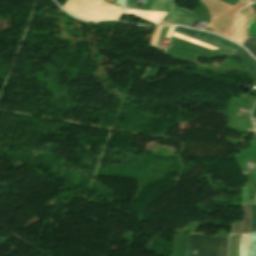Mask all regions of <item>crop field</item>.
Listing matches in <instances>:
<instances>
[{"mask_svg":"<svg viewBox=\"0 0 256 256\" xmlns=\"http://www.w3.org/2000/svg\"><path fill=\"white\" fill-rule=\"evenodd\" d=\"M237 53L245 64L246 68L256 76V61L240 47L237 49Z\"/></svg>","mask_w":256,"mask_h":256,"instance_id":"412701ff","label":"crop field"},{"mask_svg":"<svg viewBox=\"0 0 256 256\" xmlns=\"http://www.w3.org/2000/svg\"><path fill=\"white\" fill-rule=\"evenodd\" d=\"M240 224H241V222H239V223H235V224H234L233 232H232V233H239V230H240Z\"/></svg>","mask_w":256,"mask_h":256,"instance_id":"d1516ede","label":"crop field"},{"mask_svg":"<svg viewBox=\"0 0 256 256\" xmlns=\"http://www.w3.org/2000/svg\"><path fill=\"white\" fill-rule=\"evenodd\" d=\"M221 1L234 5V4H236L239 0H221Z\"/></svg>","mask_w":256,"mask_h":256,"instance_id":"22f410ed","label":"crop field"},{"mask_svg":"<svg viewBox=\"0 0 256 256\" xmlns=\"http://www.w3.org/2000/svg\"><path fill=\"white\" fill-rule=\"evenodd\" d=\"M254 121V124H255V128H256V120H253Z\"/></svg>","mask_w":256,"mask_h":256,"instance_id":"cbeb9de0","label":"crop field"},{"mask_svg":"<svg viewBox=\"0 0 256 256\" xmlns=\"http://www.w3.org/2000/svg\"><path fill=\"white\" fill-rule=\"evenodd\" d=\"M199 37H202V38H205V39L217 42L219 44H222V45L234 48V49H236L238 47V45H235V44H233V43H231V42H229V41H227L225 39H222V38H220L218 36H215L213 34L201 32Z\"/></svg>","mask_w":256,"mask_h":256,"instance_id":"dd49c442","label":"crop field"},{"mask_svg":"<svg viewBox=\"0 0 256 256\" xmlns=\"http://www.w3.org/2000/svg\"><path fill=\"white\" fill-rule=\"evenodd\" d=\"M243 45L256 57V38H248Z\"/></svg>","mask_w":256,"mask_h":256,"instance_id":"e52e79f7","label":"crop field"},{"mask_svg":"<svg viewBox=\"0 0 256 256\" xmlns=\"http://www.w3.org/2000/svg\"><path fill=\"white\" fill-rule=\"evenodd\" d=\"M175 32H178L180 34H183V35H186L188 37H191V38H194V39H197L199 41H202V42H205L207 44H210V45H213L215 47H218V48H221V49H224V50H227V51H230V52H234V49H231V48H228V47H225V46H222V45H219V44H216V43H213V42H210V41H207V40H204V39H201V38H198L196 37L198 32H194V31H191V30H188L186 28H182V27H176L175 28Z\"/></svg>","mask_w":256,"mask_h":256,"instance_id":"34b2d1b8","label":"crop field"},{"mask_svg":"<svg viewBox=\"0 0 256 256\" xmlns=\"http://www.w3.org/2000/svg\"><path fill=\"white\" fill-rule=\"evenodd\" d=\"M243 204L256 203V195L253 200L248 201V188H242Z\"/></svg>","mask_w":256,"mask_h":256,"instance_id":"3316defc","label":"crop field"},{"mask_svg":"<svg viewBox=\"0 0 256 256\" xmlns=\"http://www.w3.org/2000/svg\"><path fill=\"white\" fill-rule=\"evenodd\" d=\"M252 212V228L251 233L256 232V204L251 205Z\"/></svg>","mask_w":256,"mask_h":256,"instance_id":"5a996713","label":"crop field"},{"mask_svg":"<svg viewBox=\"0 0 256 256\" xmlns=\"http://www.w3.org/2000/svg\"><path fill=\"white\" fill-rule=\"evenodd\" d=\"M228 237H211L190 232L186 256H226Z\"/></svg>","mask_w":256,"mask_h":256,"instance_id":"8a807250","label":"crop field"},{"mask_svg":"<svg viewBox=\"0 0 256 256\" xmlns=\"http://www.w3.org/2000/svg\"><path fill=\"white\" fill-rule=\"evenodd\" d=\"M248 34L256 35V19L248 24Z\"/></svg>","mask_w":256,"mask_h":256,"instance_id":"28ad6ade","label":"crop field"},{"mask_svg":"<svg viewBox=\"0 0 256 256\" xmlns=\"http://www.w3.org/2000/svg\"><path fill=\"white\" fill-rule=\"evenodd\" d=\"M174 2L175 0H154L148 10L169 12L163 20L190 26L197 18L192 12L179 8Z\"/></svg>","mask_w":256,"mask_h":256,"instance_id":"ac0d7876","label":"crop field"},{"mask_svg":"<svg viewBox=\"0 0 256 256\" xmlns=\"http://www.w3.org/2000/svg\"><path fill=\"white\" fill-rule=\"evenodd\" d=\"M248 256H256V233L251 235Z\"/></svg>","mask_w":256,"mask_h":256,"instance_id":"d8731c3e","label":"crop field"},{"mask_svg":"<svg viewBox=\"0 0 256 256\" xmlns=\"http://www.w3.org/2000/svg\"><path fill=\"white\" fill-rule=\"evenodd\" d=\"M251 227V213H250V204L243 206V223L240 233H250Z\"/></svg>","mask_w":256,"mask_h":256,"instance_id":"f4fd0767","label":"crop field"}]
</instances>
